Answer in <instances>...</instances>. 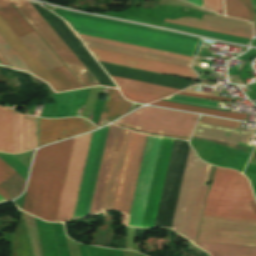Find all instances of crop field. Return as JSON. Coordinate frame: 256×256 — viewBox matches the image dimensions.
<instances>
[{
	"label": "crop field",
	"instance_id": "obj_1",
	"mask_svg": "<svg viewBox=\"0 0 256 256\" xmlns=\"http://www.w3.org/2000/svg\"><path fill=\"white\" fill-rule=\"evenodd\" d=\"M55 13L79 33L156 48L191 56L199 39L160 29L145 28L126 23L87 16L53 8ZM202 39L193 53L195 57Z\"/></svg>",
	"mask_w": 256,
	"mask_h": 256
},
{
	"label": "crop field",
	"instance_id": "obj_2",
	"mask_svg": "<svg viewBox=\"0 0 256 256\" xmlns=\"http://www.w3.org/2000/svg\"><path fill=\"white\" fill-rule=\"evenodd\" d=\"M74 140L38 150L23 210L48 221H55Z\"/></svg>",
	"mask_w": 256,
	"mask_h": 256
},
{
	"label": "crop field",
	"instance_id": "obj_3",
	"mask_svg": "<svg viewBox=\"0 0 256 256\" xmlns=\"http://www.w3.org/2000/svg\"><path fill=\"white\" fill-rule=\"evenodd\" d=\"M210 168L191 148L171 229L192 243L195 242L208 189Z\"/></svg>",
	"mask_w": 256,
	"mask_h": 256
},
{
	"label": "crop field",
	"instance_id": "obj_4",
	"mask_svg": "<svg viewBox=\"0 0 256 256\" xmlns=\"http://www.w3.org/2000/svg\"><path fill=\"white\" fill-rule=\"evenodd\" d=\"M247 179L234 170L216 168L203 215L256 219V202Z\"/></svg>",
	"mask_w": 256,
	"mask_h": 256
},
{
	"label": "crop field",
	"instance_id": "obj_5",
	"mask_svg": "<svg viewBox=\"0 0 256 256\" xmlns=\"http://www.w3.org/2000/svg\"><path fill=\"white\" fill-rule=\"evenodd\" d=\"M7 5H5V3ZM0 0V17L12 29V31L24 42L38 37L36 32L29 26L23 17L16 11L8 0ZM26 47L33 53L39 62L48 72L64 67L62 62L55 56L49 47L40 37L24 42ZM53 78L61 85L64 90L80 88V83L68 71L66 67L50 72Z\"/></svg>",
	"mask_w": 256,
	"mask_h": 256
},
{
	"label": "crop field",
	"instance_id": "obj_6",
	"mask_svg": "<svg viewBox=\"0 0 256 256\" xmlns=\"http://www.w3.org/2000/svg\"><path fill=\"white\" fill-rule=\"evenodd\" d=\"M128 133L110 125L89 215L112 207Z\"/></svg>",
	"mask_w": 256,
	"mask_h": 256
},
{
	"label": "crop field",
	"instance_id": "obj_7",
	"mask_svg": "<svg viewBox=\"0 0 256 256\" xmlns=\"http://www.w3.org/2000/svg\"><path fill=\"white\" fill-rule=\"evenodd\" d=\"M198 117L196 114L145 107L115 123L144 132L189 138Z\"/></svg>",
	"mask_w": 256,
	"mask_h": 256
},
{
	"label": "crop field",
	"instance_id": "obj_8",
	"mask_svg": "<svg viewBox=\"0 0 256 256\" xmlns=\"http://www.w3.org/2000/svg\"><path fill=\"white\" fill-rule=\"evenodd\" d=\"M197 242L256 246V220L203 216Z\"/></svg>",
	"mask_w": 256,
	"mask_h": 256
},
{
	"label": "crop field",
	"instance_id": "obj_9",
	"mask_svg": "<svg viewBox=\"0 0 256 256\" xmlns=\"http://www.w3.org/2000/svg\"><path fill=\"white\" fill-rule=\"evenodd\" d=\"M85 87L100 85L26 0H10Z\"/></svg>",
	"mask_w": 256,
	"mask_h": 256
},
{
	"label": "crop field",
	"instance_id": "obj_10",
	"mask_svg": "<svg viewBox=\"0 0 256 256\" xmlns=\"http://www.w3.org/2000/svg\"><path fill=\"white\" fill-rule=\"evenodd\" d=\"M147 136L129 133L112 209L128 214Z\"/></svg>",
	"mask_w": 256,
	"mask_h": 256
},
{
	"label": "crop field",
	"instance_id": "obj_11",
	"mask_svg": "<svg viewBox=\"0 0 256 256\" xmlns=\"http://www.w3.org/2000/svg\"><path fill=\"white\" fill-rule=\"evenodd\" d=\"M91 135L77 137L75 140L56 221H66L72 217Z\"/></svg>",
	"mask_w": 256,
	"mask_h": 256
},
{
	"label": "crop field",
	"instance_id": "obj_12",
	"mask_svg": "<svg viewBox=\"0 0 256 256\" xmlns=\"http://www.w3.org/2000/svg\"><path fill=\"white\" fill-rule=\"evenodd\" d=\"M108 128L109 126L93 134L73 219L89 213Z\"/></svg>",
	"mask_w": 256,
	"mask_h": 256
},
{
	"label": "crop field",
	"instance_id": "obj_13",
	"mask_svg": "<svg viewBox=\"0 0 256 256\" xmlns=\"http://www.w3.org/2000/svg\"><path fill=\"white\" fill-rule=\"evenodd\" d=\"M86 46L191 68L193 58L117 41L79 34Z\"/></svg>",
	"mask_w": 256,
	"mask_h": 256
},
{
	"label": "crop field",
	"instance_id": "obj_14",
	"mask_svg": "<svg viewBox=\"0 0 256 256\" xmlns=\"http://www.w3.org/2000/svg\"><path fill=\"white\" fill-rule=\"evenodd\" d=\"M161 138L149 136L128 226L140 227Z\"/></svg>",
	"mask_w": 256,
	"mask_h": 256
},
{
	"label": "crop field",
	"instance_id": "obj_15",
	"mask_svg": "<svg viewBox=\"0 0 256 256\" xmlns=\"http://www.w3.org/2000/svg\"><path fill=\"white\" fill-rule=\"evenodd\" d=\"M205 123L221 125L231 128H239L238 122H233L229 120L216 119L211 117H202V121ZM230 129L220 126H214L209 124H203L198 122L195 132L193 134L194 137H200L210 140H216L221 142H227L237 145L245 146L255 130H236Z\"/></svg>",
	"mask_w": 256,
	"mask_h": 256
},
{
	"label": "crop field",
	"instance_id": "obj_16",
	"mask_svg": "<svg viewBox=\"0 0 256 256\" xmlns=\"http://www.w3.org/2000/svg\"><path fill=\"white\" fill-rule=\"evenodd\" d=\"M91 53L95 56L97 60L130 66L134 68L159 72V73H165V74H171V75H177V76H184V77H192L196 78L197 74L189 68H184L180 66L160 63L156 61L141 59L137 57L122 55L118 53L98 50L94 48H89Z\"/></svg>",
	"mask_w": 256,
	"mask_h": 256
},
{
	"label": "crop field",
	"instance_id": "obj_17",
	"mask_svg": "<svg viewBox=\"0 0 256 256\" xmlns=\"http://www.w3.org/2000/svg\"><path fill=\"white\" fill-rule=\"evenodd\" d=\"M173 140L162 138L141 227H153Z\"/></svg>",
	"mask_w": 256,
	"mask_h": 256
},
{
	"label": "crop field",
	"instance_id": "obj_18",
	"mask_svg": "<svg viewBox=\"0 0 256 256\" xmlns=\"http://www.w3.org/2000/svg\"><path fill=\"white\" fill-rule=\"evenodd\" d=\"M165 21L249 39L252 37L251 23L218 15L204 14L202 20L183 17L175 20L165 19Z\"/></svg>",
	"mask_w": 256,
	"mask_h": 256
},
{
	"label": "crop field",
	"instance_id": "obj_19",
	"mask_svg": "<svg viewBox=\"0 0 256 256\" xmlns=\"http://www.w3.org/2000/svg\"><path fill=\"white\" fill-rule=\"evenodd\" d=\"M95 128L97 127L81 118L53 120L39 118V146L81 134Z\"/></svg>",
	"mask_w": 256,
	"mask_h": 256
},
{
	"label": "crop field",
	"instance_id": "obj_20",
	"mask_svg": "<svg viewBox=\"0 0 256 256\" xmlns=\"http://www.w3.org/2000/svg\"><path fill=\"white\" fill-rule=\"evenodd\" d=\"M112 79L120 87L121 93L125 98L145 103L155 101L179 91L169 89L170 87L165 88L117 77H112Z\"/></svg>",
	"mask_w": 256,
	"mask_h": 256
},
{
	"label": "crop field",
	"instance_id": "obj_21",
	"mask_svg": "<svg viewBox=\"0 0 256 256\" xmlns=\"http://www.w3.org/2000/svg\"><path fill=\"white\" fill-rule=\"evenodd\" d=\"M0 34L17 52V54L24 60V62L31 68V70L37 77L47 81L55 91H63L61 87L54 81V79L48 74V72L42 67V65L29 52V50L16 37V35L10 30V28L3 22L1 18Z\"/></svg>",
	"mask_w": 256,
	"mask_h": 256
},
{
	"label": "crop field",
	"instance_id": "obj_22",
	"mask_svg": "<svg viewBox=\"0 0 256 256\" xmlns=\"http://www.w3.org/2000/svg\"><path fill=\"white\" fill-rule=\"evenodd\" d=\"M37 147V118L14 112V153Z\"/></svg>",
	"mask_w": 256,
	"mask_h": 256
},
{
	"label": "crop field",
	"instance_id": "obj_23",
	"mask_svg": "<svg viewBox=\"0 0 256 256\" xmlns=\"http://www.w3.org/2000/svg\"><path fill=\"white\" fill-rule=\"evenodd\" d=\"M130 104L121 97L118 90L110 88L100 117L110 122L127 113Z\"/></svg>",
	"mask_w": 256,
	"mask_h": 256
},
{
	"label": "crop field",
	"instance_id": "obj_24",
	"mask_svg": "<svg viewBox=\"0 0 256 256\" xmlns=\"http://www.w3.org/2000/svg\"><path fill=\"white\" fill-rule=\"evenodd\" d=\"M0 151L13 153V110L0 107Z\"/></svg>",
	"mask_w": 256,
	"mask_h": 256
},
{
	"label": "crop field",
	"instance_id": "obj_25",
	"mask_svg": "<svg viewBox=\"0 0 256 256\" xmlns=\"http://www.w3.org/2000/svg\"><path fill=\"white\" fill-rule=\"evenodd\" d=\"M25 181L0 159V186L16 197L24 189Z\"/></svg>",
	"mask_w": 256,
	"mask_h": 256
},
{
	"label": "crop field",
	"instance_id": "obj_26",
	"mask_svg": "<svg viewBox=\"0 0 256 256\" xmlns=\"http://www.w3.org/2000/svg\"><path fill=\"white\" fill-rule=\"evenodd\" d=\"M211 256H256V248L197 243Z\"/></svg>",
	"mask_w": 256,
	"mask_h": 256
},
{
	"label": "crop field",
	"instance_id": "obj_27",
	"mask_svg": "<svg viewBox=\"0 0 256 256\" xmlns=\"http://www.w3.org/2000/svg\"><path fill=\"white\" fill-rule=\"evenodd\" d=\"M227 16L252 21L253 10L249 0H224Z\"/></svg>",
	"mask_w": 256,
	"mask_h": 256
},
{
	"label": "crop field",
	"instance_id": "obj_28",
	"mask_svg": "<svg viewBox=\"0 0 256 256\" xmlns=\"http://www.w3.org/2000/svg\"><path fill=\"white\" fill-rule=\"evenodd\" d=\"M151 105L199 112V113L215 115V116H220V117H225V118L245 120V117H246V115H242V114H234V113H228V112H222V111H216V110H210V109H204V108H198V107H192V106H186V105H180V104H174V103H168V102H162V101L155 102Z\"/></svg>",
	"mask_w": 256,
	"mask_h": 256
},
{
	"label": "crop field",
	"instance_id": "obj_29",
	"mask_svg": "<svg viewBox=\"0 0 256 256\" xmlns=\"http://www.w3.org/2000/svg\"><path fill=\"white\" fill-rule=\"evenodd\" d=\"M163 26L178 29V30H182V31H187V32H191V33H195V34H199V35H203V36H207V37H211V38L230 41V42H238V43L249 44L250 41H251L249 39H244V38L229 36V35H225V34H220V33H215V32H210V31H205V30H200V29H195V28H190V27H185V26L166 23V22H164Z\"/></svg>",
	"mask_w": 256,
	"mask_h": 256
},
{
	"label": "crop field",
	"instance_id": "obj_30",
	"mask_svg": "<svg viewBox=\"0 0 256 256\" xmlns=\"http://www.w3.org/2000/svg\"><path fill=\"white\" fill-rule=\"evenodd\" d=\"M0 52L11 63L13 67L21 70L31 71L1 36H0Z\"/></svg>",
	"mask_w": 256,
	"mask_h": 256
},
{
	"label": "crop field",
	"instance_id": "obj_31",
	"mask_svg": "<svg viewBox=\"0 0 256 256\" xmlns=\"http://www.w3.org/2000/svg\"><path fill=\"white\" fill-rule=\"evenodd\" d=\"M204 8L222 14V3L221 0H203Z\"/></svg>",
	"mask_w": 256,
	"mask_h": 256
},
{
	"label": "crop field",
	"instance_id": "obj_32",
	"mask_svg": "<svg viewBox=\"0 0 256 256\" xmlns=\"http://www.w3.org/2000/svg\"><path fill=\"white\" fill-rule=\"evenodd\" d=\"M167 99H173V100H179V101H185V102H191V103H197V104H203V105H209V106H215V107H217V104H222V103L208 102V101L188 99V98L175 97V96H170ZM222 105H225V104H222Z\"/></svg>",
	"mask_w": 256,
	"mask_h": 256
},
{
	"label": "crop field",
	"instance_id": "obj_33",
	"mask_svg": "<svg viewBox=\"0 0 256 256\" xmlns=\"http://www.w3.org/2000/svg\"><path fill=\"white\" fill-rule=\"evenodd\" d=\"M179 95L192 96V97L205 98V99H212V100L232 101L229 98H216V97H208V96H200V95H192V94H184V93H179Z\"/></svg>",
	"mask_w": 256,
	"mask_h": 256
},
{
	"label": "crop field",
	"instance_id": "obj_34",
	"mask_svg": "<svg viewBox=\"0 0 256 256\" xmlns=\"http://www.w3.org/2000/svg\"><path fill=\"white\" fill-rule=\"evenodd\" d=\"M0 195H2L4 198H6L7 200L9 199H12L14 198L13 196H11L9 193H7L5 190H3L1 187H0ZM1 196V197H2ZM5 199V200H6Z\"/></svg>",
	"mask_w": 256,
	"mask_h": 256
},
{
	"label": "crop field",
	"instance_id": "obj_35",
	"mask_svg": "<svg viewBox=\"0 0 256 256\" xmlns=\"http://www.w3.org/2000/svg\"><path fill=\"white\" fill-rule=\"evenodd\" d=\"M185 92H192V93H198V94H205V95H211L214 96V93L210 92H200V91H191V90H184Z\"/></svg>",
	"mask_w": 256,
	"mask_h": 256
},
{
	"label": "crop field",
	"instance_id": "obj_36",
	"mask_svg": "<svg viewBox=\"0 0 256 256\" xmlns=\"http://www.w3.org/2000/svg\"><path fill=\"white\" fill-rule=\"evenodd\" d=\"M187 1L191 2V3H194V4H196V5L201 7L202 0H201V3H200V0H187ZM202 7H203V4H202Z\"/></svg>",
	"mask_w": 256,
	"mask_h": 256
},
{
	"label": "crop field",
	"instance_id": "obj_37",
	"mask_svg": "<svg viewBox=\"0 0 256 256\" xmlns=\"http://www.w3.org/2000/svg\"><path fill=\"white\" fill-rule=\"evenodd\" d=\"M0 62H1L2 64L8 65L7 62H6L1 56H0ZM1 63H0V64H1ZM8 66H9V65H8Z\"/></svg>",
	"mask_w": 256,
	"mask_h": 256
},
{
	"label": "crop field",
	"instance_id": "obj_38",
	"mask_svg": "<svg viewBox=\"0 0 256 256\" xmlns=\"http://www.w3.org/2000/svg\"><path fill=\"white\" fill-rule=\"evenodd\" d=\"M0 200L2 201V202H4V201H6L3 197H1L0 196ZM1 201H0V203H1Z\"/></svg>",
	"mask_w": 256,
	"mask_h": 256
}]
</instances>
